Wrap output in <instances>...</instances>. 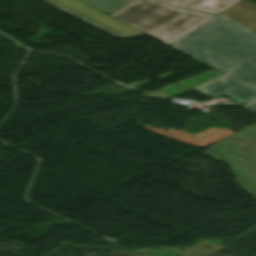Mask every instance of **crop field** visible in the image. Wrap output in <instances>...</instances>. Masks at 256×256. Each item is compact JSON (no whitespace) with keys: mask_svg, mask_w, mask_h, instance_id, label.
I'll list each match as a JSON object with an SVG mask.
<instances>
[{"mask_svg":"<svg viewBox=\"0 0 256 256\" xmlns=\"http://www.w3.org/2000/svg\"><path fill=\"white\" fill-rule=\"evenodd\" d=\"M256 89V32L220 14L169 44Z\"/></svg>","mask_w":256,"mask_h":256,"instance_id":"8a807250","label":"crop field"},{"mask_svg":"<svg viewBox=\"0 0 256 256\" xmlns=\"http://www.w3.org/2000/svg\"><path fill=\"white\" fill-rule=\"evenodd\" d=\"M109 15L167 44L214 17L143 0H134Z\"/></svg>","mask_w":256,"mask_h":256,"instance_id":"ac0d7876","label":"crop field"},{"mask_svg":"<svg viewBox=\"0 0 256 256\" xmlns=\"http://www.w3.org/2000/svg\"><path fill=\"white\" fill-rule=\"evenodd\" d=\"M205 154L228 164L239 187L256 198V125L215 143ZM238 156L242 159H237Z\"/></svg>","mask_w":256,"mask_h":256,"instance_id":"34b2d1b8","label":"crop field"},{"mask_svg":"<svg viewBox=\"0 0 256 256\" xmlns=\"http://www.w3.org/2000/svg\"><path fill=\"white\" fill-rule=\"evenodd\" d=\"M42 1L98 28L99 30L117 39L145 35L77 0Z\"/></svg>","mask_w":256,"mask_h":256,"instance_id":"412701ff","label":"crop field"},{"mask_svg":"<svg viewBox=\"0 0 256 256\" xmlns=\"http://www.w3.org/2000/svg\"><path fill=\"white\" fill-rule=\"evenodd\" d=\"M194 88L210 97L225 95L234 101L242 103H248L256 99V90L249 88L224 74Z\"/></svg>","mask_w":256,"mask_h":256,"instance_id":"f4fd0767","label":"crop field"},{"mask_svg":"<svg viewBox=\"0 0 256 256\" xmlns=\"http://www.w3.org/2000/svg\"><path fill=\"white\" fill-rule=\"evenodd\" d=\"M222 13L256 30V4L251 1L241 0Z\"/></svg>","mask_w":256,"mask_h":256,"instance_id":"dd49c442","label":"crop field"},{"mask_svg":"<svg viewBox=\"0 0 256 256\" xmlns=\"http://www.w3.org/2000/svg\"><path fill=\"white\" fill-rule=\"evenodd\" d=\"M238 1L239 0H199L196 3L189 5L187 8L217 14Z\"/></svg>","mask_w":256,"mask_h":256,"instance_id":"e52e79f7","label":"crop field"},{"mask_svg":"<svg viewBox=\"0 0 256 256\" xmlns=\"http://www.w3.org/2000/svg\"><path fill=\"white\" fill-rule=\"evenodd\" d=\"M107 14L115 11L132 0H81Z\"/></svg>","mask_w":256,"mask_h":256,"instance_id":"d8731c3e","label":"crop field"},{"mask_svg":"<svg viewBox=\"0 0 256 256\" xmlns=\"http://www.w3.org/2000/svg\"><path fill=\"white\" fill-rule=\"evenodd\" d=\"M157 1H162V2H166L175 6H179V7H183L189 3H191V1L189 0H157Z\"/></svg>","mask_w":256,"mask_h":256,"instance_id":"5a996713","label":"crop field"},{"mask_svg":"<svg viewBox=\"0 0 256 256\" xmlns=\"http://www.w3.org/2000/svg\"><path fill=\"white\" fill-rule=\"evenodd\" d=\"M253 112H256V102L252 103V104H249V105H246V106H243Z\"/></svg>","mask_w":256,"mask_h":256,"instance_id":"3316defc","label":"crop field"}]
</instances>
